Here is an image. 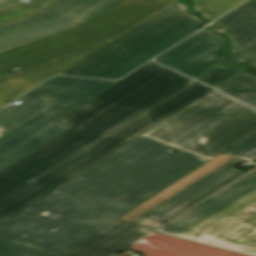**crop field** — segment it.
Wrapping results in <instances>:
<instances>
[{"label": "crop field", "mask_w": 256, "mask_h": 256, "mask_svg": "<svg viewBox=\"0 0 256 256\" xmlns=\"http://www.w3.org/2000/svg\"><path fill=\"white\" fill-rule=\"evenodd\" d=\"M207 161L141 136L1 222L0 256H57Z\"/></svg>", "instance_id": "1"}, {"label": "crop field", "mask_w": 256, "mask_h": 256, "mask_svg": "<svg viewBox=\"0 0 256 256\" xmlns=\"http://www.w3.org/2000/svg\"><path fill=\"white\" fill-rule=\"evenodd\" d=\"M192 81L149 62L58 120L72 129L0 172V222L212 90L196 82L84 149Z\"/></svg>", "instance_id": "2"}, {"label": "crop field", "mask_w": 256, "mask_h": 256, "mask_svg": "<svg viewBox=\"0 0 256 256\" xmlns=\"http://www.w3.org/2000/svg\"><path fill=\"white\" fill-rule=\"evenodd\" d=\"M116 82L54 76L2 109L0 171L71 129L55 121Z\"/></svg>", "instance_id": "3"}, {"label": "crop field", "mask_w": 256, "mask_h": 256, "mask_svg": "<svg viewBox=\"0 0 256 256\" xmlns=\"http://www.w3.org/2000/svg\"><path fill=\"white\" fill-rule=\"evenodd\" d=\"M156 232L256 256V169Z\"/></svg>", "instance_id": "4"}, {"label": "crop field", "mask_w": 256, "mask_h": 256, "mask_svg": "<svg viewBox=\"0 0 256 256\" xmlns=\"http://www.w3.org/2000/svg\"><path fill=\"white\" fill-rule=\"evenodd\" d=\"M255 131L256 109L215 90L144 136L210 159Z\"/></svg>", "instance_id": "5"}, {"label": "crop field", "mask_w": 256, "mask_h": 256, "mask_svg": "<svg viewBox=\"0 0 256 256\" xmlns=\"http://www.w3.org/2000/svg\"><path fill=\"white\" fill-rule=\"evenodd\" d=\"M202 26L178 2L58 74L117 79Z\"/></svg>", "instance_id": "6"}, {"label": "crop field", "mask_w": 256, "mask_h": 256, "mask_svg": "<svg viewBox=\"0 0 256 256\" xmlns=\"http://www.w3.org/2000/svg\"><path fill=\"white\" fill-rule=\"evenodd\" d=\"M176 0H123L81 28L0 55V77L106 38H116Z\"/></svg>", "instance_id": "7"}, {"label": "crop field", "mask_w": 256, "mask_h": 256, "mask_svg": "<svg viewBox=\"0 0 256 256\" xmlns=\"http://www.w3.org/2000/svg\"><path fill=\"white\" fill-rule=\"evenodd\" d=\"M119 0H0V53L78 27Z\"/></svg>", "instance_id": "8"}, {"label": "crop field", "mask_w": 256, "mask_h": 256, "mask_svg": "<svg viewBox=\"0 0 256 256\" xmlns=\"http://www.w3.org/2000/svg\"><path fill=\"white\" fill-rule=\"evenodd\" d=\"M224 52V39L204 29L156 57L155 61L196 78L219 65Z\"/></svg>", "instance_id": "9"}, {"label": "crop field", "mask_w": 256, "mask_h": 256, "mask_svg": "<svg viewBox=\"0 0 256 256\" xmlns=\"http://www.w3.org/2000/svg\"><path fill=\"white\" fill-rule=\"evenodd\" d=\"M239 159L240 158L236 157L217 168L180 193L135 220L133 223L154 230L160 226L162 222L173 218L185 209L244 174L246 171L233 168L237 165L235 162Z\"/></svg>", "instance_id": "10"}, {"label": "crop field", "mask_w": 256, "mask_h": 256, "mask_svg": "<svg viewBox=\"0 0 256 256\" xmlns=\"http://www.w3.org/2000/svg\"><path fill=\"white\" fill-rule=\"evenodd\" d=\"M212 25L231 37L236 51L227 64H250L256 60V0L247 1Z\"/></svg>", "instance_id": "11"}, {"label": "crop field", "mask_w": 256, "mask_h": 256, "mask_svg": "<svg viewBox=\"0 0 256 256\" xmlns=\"http://www.w3.org/2000/svg\"><path fill=\"white\" fill-rule=\"evenodd\" d=\"M113 41L108 39L71 54L22 70L0 80V105L11 101L44 79L69 67L92 52Z\"/></svg>", "instance_id": "12"}, {"label": "crop field", "mask_w": 256, "mask_h": 256, "mask_svg": "<svg viewBox=\"0 0 256 256\" xmlns=\"http://www.w3.org/2000/svg\"><path fill=\"white\" fill-rule=\"evenodd\" d=\"M151 231L117 219L60 256H116L115 253Z\"/></svg>", "instance_id": "13"}, {"label": "crop field", "mask_w": 256, "mask_h": 256, "mask_svg": "<svg viewBox=\"0 0 256 256\" xmlns=\"http://www.w3.org/2000/svg\"><path fill=\"white\" fill-rule=\"evenodd\" d=\"M218 89L256 106V78L246 71Z\"/></svg>", "instance_id": "14"}, {"label": "crop field", "mask_w": 256, "mask_h": 256, "mask_svg": "<svg viewBox=\"0 0 256 256\" xmlns=\"http://www.w3.org/2000/svg\"><path fill=\"white\" fill-rule=\"evenodd\" d=\"M194 9L206 16L209 21L224 14L244 0H193Z\"/></svg>", "instance_id": "15"}, {"label": "crop field", "mask_w": 256, "mask_h": 256, "mask_svg": "<svg viewBox=\"0 0 256 256\" xmlns=\"http://www.w3.org/2000/svg\"><path fill=\"white\" fill-rule=\"evenodd\" d=\"M244 69H246V67L238 66L232 68H223L219 66L208 74L201 77L199 80L216 88L225 81L242 72Z\"/></svg>", "instance_id": "16"}, {"label": "crop field", "mask_w": 256, "mask_h": 256, "mask_svg": "<svg viewBox=\"0 0 256 256\" xmlns=\"http://www.w3.org/2000/svg\"><path fill=\"white\" fill-rule=\"evenodd\" d=\"M226 151L238 156L245 155L253 158L254 162H256V132L233 145Z\"/></svg>", "instance_id": "17"}, {"label": "crop field", "mask_w": 256, "mask_h": 256, "mask_svg": "<svg viewBox=\"0 0 256 256\" xmlns=\"http://www.w3.org/2000/svg\"><path fill=\"white\" fill-rule=\"evenodd\" d=\"M251 64L256 65V61H255V62H253V63H251Z\"/></svg>", "instance_id": "18"}, {"label": "crop field", "mask_w": 256, "mask_h": 256, "mask_svg": "<svg viewBox=\"0 0 256 256\" xmlns=\"http://www.w3.org/2000/svg\"><path fill=\"white\" fill-rule=\"evenodd\" d=\"M5 105H6V104H5ZM3 106H4V105H3ZM3 106H1V107H3ZM1 107H0V108H1Z\"/></svg>", "instance_id": "19"}]
</instances>
